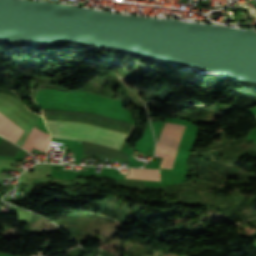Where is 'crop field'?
<instances>
[{
    "mask_svg": "<svg viewBox=\"0 0 256 256\" xmlns=\"http://www.w3.org/2000/svg\"><path fill=\"white\" fill-rule=\"evenodd\" d=\"M52 137L83 140L120 149L127 135L88 124L45 121Z\"/></svg>",
    "mask_w": 256,
    "mask_h": 256,
    "instance_id": "8a807250",
    "label": "crop field"
},
{
    "mask_svg": "<svg viewBox=\"0 0 256 256\" xmlns=\"http://www.w3.org/2000/svg\"><path fill=\"white\" fill-rule=\"evenodd\" d=\"M185 126L166 123L156 143V155L162 157L160 167L171 169Z\"/></svg>",
    "mask_w": 256,
    "mask_h": 256,
    "instance_id": "ac0d7876",
    "label": "crop field"
},
{
    "mask_svg": "<svg viewBox=\"0 0 256 256\" xmlns=\"http://www.w3.org/2000/svg\"><path fill=\"white\" fill-rule=\"evenodd\" d=\"M24 130L0 113V134L16 143Z\"/></svg>",
    "mask_w": 256,
    "mask_h": 256,
    "instance_id": "34b2d1b8",
    "label": "crop field"
},
{
    "mask_svg": "<svg viewBox=\"0 0 256 256\" xmlns=\"http://www.w3.org/2000/svg\"><path fill=\"white\" fill-rule=\"evenodd\" d=\"M125 178L160 181L159 170L151 169H130L129 176Z\"/></svg>",
    "mask_w": 256,
    "mask_h": 256,
    "instance_id": "412701ff",
    "label": "crop field"
}]
</instances>
